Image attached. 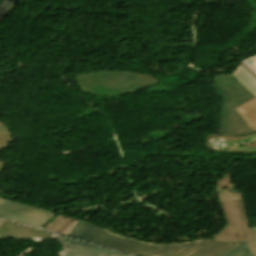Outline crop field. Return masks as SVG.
<instances>
[{"label": "crop field", "instance_id": "1", "mask_svg": "<svg viewBox=\"0 0 256 256\" xmlns=\"http://www.w3.org/2000/svg\"><path fill=\"white\" fill-rule=\"evenodd\" d=\"M66 235L139 256H222L246 242L204 239L181 244L148 243L113 234L81 220Z\"/></svg>", "mask_w": 256, "mask_h": 256}, {"label": "crop field", "instance_id": "2", "mask_svg": "<svg viewBox=\"0 0 256 256\" xmlns=\"http://www.w3.org/2000/svg\"><path fill=\"white\" fill-rule=\"evenodd\" d=\"M213 190L224 223L210 238L247 240L253 256H256L243 195L230 172L214 181Z\"/></svg>", "mask_w": 256, "mask_h": 256}, {"label": "crop field", "instance_id": "3", "mask_svg": "<svg viewBox=\"0 0 256 256\" xmlns=\"http://www.w3.org/2000/svg\"><path fill=\"white\" fill-rule=\"evenodd\" d=\"M74 77L81 91L100 96L128 95L160 82L152 75L120 71H97Z\"/></svg>", "mask_w": 256, "mask_h": 256}, {"label": "crop field", "instance_id": "4", "mask_svg": "<svg viewBox=\"0 0 256 256\" xmlns=\"http://www.w3.org/2000/svg\"><path fill=\"white\" fill-rule=\"evenodd\" d=\"M215 93L222 97L220 116H222L219 133L227 136H241L254 133L250 126L235 110L237 106L256 97L232 74L213 76Z\"/></svg>", "mask_w": 256, "mask_h": 256}, {"label": "crop field", "instance_id": "5", "mask_svg": "<svg viewBox=\"0 0 256 256\" xmlns=\"http://www.w3.org/2000/svg\"><path fill=\"white\" fill-rule=\"evenodd\" d=\"M56 213L0 198V217L41 228Z\"/></svg>", "mask_w": 256, "mask_h": 256}, {"label": "crop field", "instance_id": "6", "mask_svg": "<svg viewBox=\"0 0 256 256\" xmlns=\"http://www.w3.org/2000/svg\"><path fill=\"white\" fill-rule=\"evenodd\" d=\"M56 239L63 245L62 250L57 253L58 256H129L62 236H56Z\"/></svg>", "mask_w": 256, "mask_h": 256}, {"label": "crop field", "instance_id": "7", "mask_svg": "<svg viewBox=\"0 0 256 256\" xmlns=\"http://www.w3.org/2000/svg\"><path fill=\"white\" fill-rule=\"evenodd\" d=\"M1 236L47 238L52 234L4 221L0 227Z\"/></svg>", "mask_w": 256, "mask_h": 256}, {"label": "crop field", "instance_id": "8", "mask_svg": "<svg viewBox=\"0 0 256 256\" xmlns=\"http://www.w3.org/2000/svg\"><path fill=\"white\" fill-rule=\"evenodd\" d=\"M77 221L78 219L59 215L42 229L65 235Z\"/></svg>", "mask_w": 256, "mask_h": 256}, {"label": "crop field", "instance_id": "9", "mask_svg": "<svg viewBox=\"0 0 256 256\" xmlns=\"http://www.w3.org/2000/svg\"><path fill=\"white\" fill-rule=\"evenodd\" d=\"M243 119L256 132V98L237 109Z\"/></svg>", "mask_w": 256, "mask_h": 256}, {"label": "crop field", "instance_id": "10", "mask_svg": "<svg viewBox=\"0 0 256 256\" xmlns=\"http://www.w3.org/2000/svg\"><path fill=\"white\" fill-rule=\"evenodd\" d=\"M233 75L256 95V79L245 69L239 65Z\"/></svg>", "mask_w": 256, "mask_h": 256}, {"label": "crop field", "instance_id": "11", "mask_svg": "<svg viewBox=\"0 0 256 256\" xmlns=\"http://www.w3.org/2000/svg\"><path fill=\"white\" fill-rule=\"evenodd\" d=\"M13 140L10 130L0 121V150L9 147L8 142ZM7 163L0 160V174Z\"/></svg>", "mask_w": 256, "mask_h": 256}, {"label": "crop field", "instance_id": "12", "mask_svg": "<svg viewBox=\"0 0 256 256\" xmlns=\"http://www.w3.org/2000/svg\"><path fill=\"white\" fill-rule=\"evenodd\" d=\"M224 256H252L247 243L235 248Z\"/></svg>", "mask_w": 256, "mask_h": 256}, {"label": "crop field", "instance_id": "13", "mask_svg": "<svg viewBox=\"0 0 256 256\" xmlns=\"http://www.w3.org/2000/svg\"><path fill=\"white\" fill-rule=\"evenodd\" d=\"M242 62L256 74V55Z\"/></svg>", "mask_w": 256, "mask_h": 256}, {"label": "crop field", "instance_id": "14", "mask_svg": "<svg viewBox=\"0 0 256 256\" xmlns=\"http://www.w3.org/2000/svg\"><path fill=\"white\" fill-rule=\"evenodd\" d=\"M253 236H254V240H255V243H256V228L253 229Z\"/></svg>", "mask_w": 256, "mask_h": 256}, {"label": "crop field", "instance_id": "15", "mask_svg": "<svg viewBox=\"0 0 256 256\" xmlns=\"http://www.w3.org/2000/svg\"><path fill=\"white\" fill-rule=\"evenodd\" d=\"M3 220H0V225L2 224Z\"/></svg>", "mask_w": 256, "mask_h": 256}]
</instances>
